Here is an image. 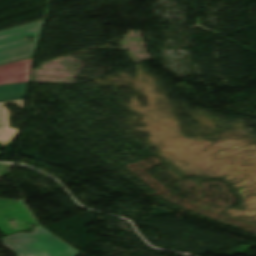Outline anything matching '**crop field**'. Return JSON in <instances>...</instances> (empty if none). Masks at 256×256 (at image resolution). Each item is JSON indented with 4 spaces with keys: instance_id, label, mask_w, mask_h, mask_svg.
<instances>
[{
    "instance_id": "412701ff",
    "label": "crop field",
    "mask_w": 256,
    "mask_h": 256,
    "mask_svg": "<svg viewBox=\"0 0 256 256\" xmlns=\"http://www.w3.org/2000/svg\"><path fill=\"white\" fill-rule=\"evenodd\" d=\"M12 103L18 104L20 107H23L24 105V99L22 100H16V101H10ZM8 103H0L1 104V110H2V122H3V128H1V122H0V144L5 147L11 139L14 137V135L17 133L18 129L9 128L8 124V111L3 108V104Z\"/></svg>"
},
{
    "instance_id": "8a807250",
    "label": "crop field",
    "mask_w": 256,
    "mask_h": 256,
    "mask_svg": "<svg viewBox=\"0 0 256 256\" xmlns=\"http://www.w3.org/2000/svg\"><path fill=\"white\" fill-rule=\"evenodd\" d=\"M2 240L17 256H77L80 253L41 225L35 226L32 234L18 233Z\"/></svg>"
},
{
    "instance_id": "34b2d1b8",
    "label": "crop field",
    "mask_w": 256,
    "mask_h": 256,
    "mask_svg": "<svg viewBox=\"0 0 256 256\" xmlns=\"http://www.w3.org/2000/svg\"><path fill=\"white\" fill-rule=\"evenodd\" d=\"M31 58L0 65V85L28 82L31 67Z\"/></svg>"
},
{
    "instance_id": "ac0d7876",
    "label": "crop field",
    "mask_w": 256,
    "mask_h": 256,
    "mask_svg": "<svg viewBox=\"0 0 256 256\" xmlns=\"http://www.w3.org/2000/svg\"><path fill=\"white\" fill-rule=\"evenodd\" d=\"M43 22L44 20L0 31V63L33 55ZM25 35L35 36L34 42L23 40Z\"/></svg>"
},
{
    "instance_id": "f4fd0767",
    "label": "crop field",
    "mask_w": 256,
    "mask_h": 256,
    "mask_svg": "<svg viewBox=\"0 0 256 256\" xmlns=\"http://www.w3.org/2000/svg\"><path fill=\"white\" fill-rule=\"evenodd\" d=\"M28 84L0 86V102L24 98Z\"/></svg>"
}]
</instances>
